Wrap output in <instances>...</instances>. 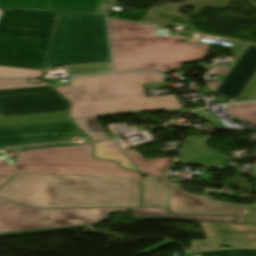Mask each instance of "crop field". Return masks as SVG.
I'll return each mask as SVG.
<instances>
[{"label":"crop field","mask_w":256,"mask_h":256,"mask_svg":"<svg viewBox=\"0 0 256 256\" xmlns=\"http://www.w3.org/2000/svg\"><path fill=\"white\" fill-rule=\"evenodd\" d=\"M71 145H81V144L57 143V144H48V145L26 146V147H22V149H23V150H27V149H37V148H47V147H59V146H71Z\"/></svg>","instance_id":"crop-field-28"},{"label":"crop field","mask_w":256,"mask_h":256,"mask_svg":"<svg viewBox=\"0 0 256 256\" xmlns=\"http://www.w3.org/2000/svg\"><path fill=\"white\" fill-rule=\"evenodd\" d=\"M80 130L70 120L0 127V147L66 141L69 133Z\"/></svg>","instance_id":"crop-field-9"},{"label":"crop field","mask_w":256,"mask_h":256,"mask_svg":"<svg viewBox=\"0 0 256 256\" xmlns=\"http://www.w3.org/2000/svg\"><path fill=\"white\" fill-rule=\"evenodd\" d=\"M181 185L173 184L171 189L170 210L172 213L238 215L237 223H243L246 213L243 207L216 202L210 198L190 194Z\"/></svg>","instance_id":"crop-field-11"},{"label":"crop field","mask_w":256,"mask_h":256,"mask_svg":"<svg viewBox=\"0 0 256 256\" xmlns=\"http://www.w3.org/2000/svg\"><path fill=\"white\" fill-rule=\"evenodd\" d=\"M0 8L73 10L104 16L101 0H0Z\"/></svg>","instance_id":"crop-field-13"},{"label":"crop field","mask_w":256,"mask_h":256,"mask_svg":"<svg viewBox=\"0 0 256 256\" xmlns=\"http://www.w3.org/2000/svg\"><path fill=\"white\" fill-rule=\"evenodd\" d=\"M170 243H172V242L164 241V242H162V243H160V244H158V245H155V246H153V247H151V248H148V249H146V250H144V251H142V252H139V253H137V254H135V255L148 254V253H150V252H152V251H154V250H157V249H159V248H161V247H163V246H166V245H168V244H170Z\"/></svg>","instance_id":"crop-field-30"},{"label":"crop field","mask_w":256,"mask_h":256,"mask_svg":"<svg viewBox=\"0 0 256 256\" xmlns=\"http://www.w3.org/2000/svg\"><path fill=\"white\" fill-rule=\"evenodd\" d=\"M69 76L111 72L109 63L67 67Z\"/></svg>","instance_id":"crop-field-23"},{"label":"crop field","mask_w":256,"mask_h":256,"mask_svg":"<svg viewBox=\"0 0 256 256\" xmlns=\"http://www.w3.org/2000/svg\"><path fill=\"white\" fill-rule=\"evenodd\" d=\"M248 212L247 222H256V203L249 206Z\"/></svg>","instance_id":"crop-field-29"},{"label":"crop field","mask_w":256,"mask_h":256,"mask_svg":"<svg viewBox=\"0 0 256 256\" xmlns=\"http://www.w3.org/2000/svg\"><path fill=\"white\" fill-rule=\"evenodd\" d=\"M43 71L0 67V77H39Z\"/></svg>","instance_id":"crop-field-24"},{"label":"crop field","mask_w":256,"mask_h":256,"mask_svg":"<svg viewBox=\"0 0 256 256\" xmlns=\"http://www.w3.org/2000/svg\"><path fill=\"white\" fill-rule=\"evenodd\" d=\"M255 73L256 45L250 44L215 93L229 99L227 103L235 102Z\"/></svg>","instance_id":"crop-field-12"},{"label":"crop field","mask_w":256,"mask_h":256,"mask_svg":"<svg viewBox=\"0 0 256 256\" xmlns=\"http://www.w3.org/2000/svg\"><path fill=\"white\" fill-rule=\"evenodd\" d=\"M64 119H68V111L4 117V118H0V126L11 125V124H21V123H31V122H41V121L64 120Z\"/></svg>","instance_id":"crop-field-19"},{"label":"crop field","mask_w":256,"mask_h":256,"mask_svg":"<svg viewBox=\"0 0 256 256\" xmlns=\"http://www.w3.org/2000/svg\"><path fill=\"white\" fill-rule=\"evenodd\" d=\"M17 153L16 164L0 161V176L18 172L68 174L86 176L140 178V174L117 167L114 162L95 160L91 145L22 151L20 147L3 149Z\"/></svg>","instance_id":"crop-field-5"},{"label":"crop field","mask_w":256,"mask_h":256,"mask_svg":"<svg viewBox=\"0 0 256 256\" xmlns=\"http://www.w3.org/2000/svg\"><path fill=\"white\" fill-rule=\"evenodd\" d=\"M114 72L153 69L162 73L202 60L210 44L180 43L183 36L158 37L155 26L108 19Z\"/></svg>","instance_id":"crop-field-3"},{"label":"crop field","mask_w":256,"mask_h":256,"mask_svg":"<svg viewBox=\"0 0 256 256\" xmlns=\"http://www.w3.org/2000/svg\"><path fill=\"white\" fill-rule=\"evenodd\" d=\"M208 137H186L178 159L223 170L228 157L205 147Z\"/></svg>","instance_id":"crop-field-14"},{"label":"crop field","mask_w":256,"mask_h":256,"mask_svg":"<svg viewBox=\"0 0 256 256\" xmlns=\"http://www.w3.org/2000/svg\"><path fill=\"white\" fill-rule=\"evenodd\" d=\"M73 121L92 139V141L110 139L108 135L96 124L95 118L75 119Z\"/></svg>","instance_id":"crop-field-20"},{"label":"crop field","mask_w":256,"mask_h":256,"mask_svg":"<svg viewBox=\"0 0 256 256\" xmlns=\"http://www.w3.org/2000/svg\"><path fill=\"white\" fill-rule=\"evenodd\" d=\"M58 11L4 9L0 66L43 70Z\"/></svg>","instance_id":"crop-field-4"},{"label":"crop field","mask_w":256,"mask_h":256,"mask_svg":"<svg viewBox=\"0 0 256 256\" xmlns=\"http://www.w3.org/2000/svg\"><path fill=\"white\" fill-rule=\"evenodd\" d=\"M109 61L104 17L60 13L47 66Z\"/></svg>","instance_id":"crop-field-6"},{"label":"crop field","mask_w":256,"mask_h":256,"mask_svg":"<svg viewBox=\"0 0 256 256\" xmlns=\"http://www.w3.org/2000/svg\"><path fill=\"white\" fill-rule=\"evenodd\" d=\"M94 155L97 159L116 161L119 162V165L122 167L137 170L117 148L113 141L95 143Z\"/></svg>","instance_id":"crop-field-18"},{"label":"crop field","mask_w":256,"mask_h":256,"mask_svg":"<svg viewBox=\"0 0 256 256\" xmlns=\"http://www.w3.org/2000/svg\"><path fill=\"white\" fill-rule=\"evenodd\" d=\"M160 81L161 75L140 71L74 78L56 89L72 102V119L181 108L175 95L146 98L144 84Z\"/></svg>","instance_id":"crop-field-2"},{"label":"crop field","mask_w":256,"mask_h":256,"mask_svg":"<svg viewBox=\"0 0 256 256\" xmlns=\"http://www.w3.org/2000/svg\"><path fill=\"white\" fill-rule=\"evenodd\" d=\"M46 84L30 85L28 80H0V89L43 86Z\"/></svg>","instance_id":"crop-field-25"},{"label":"crop field","mask_w":256,"mask_h":256,"mask_svg":"<svg viewBox=\"0 0 256 256\" xmlns=\"http://www.w3.org/2000/svg\"><path fill=\"white\" fill-rule=\"evenodd\" d=\"M191 256H256V249H225L191 252Z\"/></svg>","instance_id":"crop-field-22"},{"label":"crop field","mask_w":256,"mask_h":256,"mask_svg":"<svg viewBox=\"0 0 256 256\" xmlns=\"http://www.w3.org/2000/svg\"><path fill=\"white\" fill-rule=\"evenodd\" d=\"M248 46V43L235 41L234 45L229 50L232 51L236 59H239Z\"/></svg>","instance_id":"crop-field-27"},{"label":"crop field","mask_w":256,"mask_h":256,"mask_svg":"<svg viewBox=\"0 0 256 256\" xmlns=\"http://www.w3.org/2000/svg\"><path fill=\"white\" fill-rule=\"evenodd\" d=\"M135 219L233 222L235 217L170 215L163 209H132Z\"/></svg>","instance_id":"crop-field-16"},{"label":"crop field","mask_w":256,"mask_h":256,"mask_svg":"<svg viewBox=\"0 0 256 256\" xmlns=\"http://www.w3.org/2000/svg\"><path fill=\"white\" fill-rule=\"evenodd\" d=\"M141 180L18 173L0 197L33 207L140 206Z\"/></svg>","instance_id":"crop-field-1"},{"label":"crop field","mask_w":256,"mask_h":256,"mask_svg":"<svg viewBox=\"0 0 256 256\" xmlns=\"http://www.w3.org/2000/svg\"><path fill=\"white\" fill-rule=\"evenodd\" d=\"M124 152L146 175H163L172 160L171 158L144 159L134 149H125Z\"/></svg>","instance_id":"crop-field-17"},{"label":"crop field","mask_w":256,"mask_h":256,"mask_svg":"<svg viewBox=\"0 0 256 256\" xmlns=\"http://www.w3.org/2000/svg\"><path fill=\"white\" fill-rule=\"evenodd\" d=\"M69 102L49 86L0 90V117L68 110Z\"/></svg>","instance_id":"crop-field-8"},{"label":"crop field","mask_w":256,"mask_h":256,"mask_svg":"<svg viewBox=\"0 0 256 256\" xmlns=\"http://www.w3.org/2000/svg\"><path fill=\"white\" fill-rule=\"evenodd\" d=\"M199 223V222H198ZM205 240H192L189 251L223 246L256 247V225L200 222Z\"/></svg>","instance_id":"crop-field-10"},{"label":"crop field","mask_w":256,"mask_h":256,"mask_svg":"<svg viewBox=\"0 0 256 256\" xmlns=\"http://www.w3.org/2000/svg\"><path fill=\"white\" fill-rule=\"evenodd\" d=\"M191 114L196 115V116L201 117V118H205L208 122H210L212 125H214L218 129L229 130L227 127H225L221 123V117H215L213 115L202 114L198 111H196L194 113H191Z\"/></svg>","instance_id":"crop-field-26"},{"label":"crop field","mask_w":256,"mask_h":256,"mask_svg":"<svg viewBox=\"0 0 256 256\" xmlns=\"http://www.w3.org/2000/svg\"><path fill=\"white\" fill-rule=\"evenodd\" d=\"M226 113L256 124V103L227 105Z\"/></svg>","instance_id":"crop-field-21"},{"label":"crop field","mask_w":256,"mask_h":256,"mask_svg":"<svg viewBox=\"0 0 256 256\" xmlns=\"http://www.w3.org/2000/svg\"><path fill=\"white\" fill-rule=\"evenodd\" d=\"M126 209H34L0 199V235L88 226Z\"/></svg>","instance_id":"crop-field-7"},{"label":"crop field","mask_w":256,"mask_h":256,"mask_svg":"<svg viewBox=\"0 0 256 256\" xmlns=\"http://www.w3.org/2000/svg\"><path fill=\"white\" fill-rule=\"evenodd\" d=\"M199 108H202V107H198V108H188V109H178V110H170L168 112H177V111H181L183 113H186V112H189V111H192V110H196V109H199Z\"/></svg>","instance_id":"crop-field-31"},{"label":"crop field","mask_w":256,"mask_h":256,"mask_svg":"<svg viewBox=\"0 0 256 256\" xmlns=\"http://www.w3.org/2000/svg\"><path fill=\"white\" fill-rule=\"evenodd\" d=\"M142 207H166L170 182L165 177H149L143 180Z\"/></svg>","instance_id":"crop-field-15"},{"label":"crop field","mask_w":256,"mask_h":256,"mask_svg":"<svg viewBox=\"0 0 256 256\" xmlns=\"http://www.w3.org/2000/svg\"><path fill=\"white\" fill-rule=\"evenodd\" d=\"M9 179H11V177H0V186L5 183L6 181H8Z\"/></svg>","instance_id":"crop-field-32"}]
</instances>
